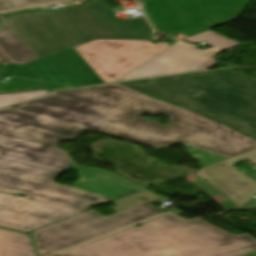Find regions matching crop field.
Masks as SVG:
<instances>
[{"instance_id":"8a807250","label":"crop field","mask_w":256,"mask_h":256,"mask_svg":"<svg viewBox=\"0 0 256 256\" xmlns=\"http://www.w3.org/2000/svg\"><path fill=\"white\" fill-rule=\"evenodd\" d=\"M172 117L168 125L141 114ZM91 130L158 148L180 142L199 167L256 148V141L199 113L119 84L57 92L0 110V226L29 232L148 186L111 171L75 164L57 143ZM75 183L54 180L65 170ZM106 197H110L109 200Z\"/></svg>"},{"instance_id":"ac0d7876","label":"crop field","mask_w":256,"mask_h":256,"mask_svg":"<svg viewBox=\"0 0 256 256\" xmlns=\"http://www.w3.org/2000/svg\"><path fill=\"white\" fill-rule=\"evenodd\" d=\"M59 256H256V240L166 214Z\"/></svg>"},{"instance_id":"34b2d1b8","label":"crop field","mask_w":256,"mask_h":256,"mask_svg":"<svg viewBox=\"0 0 256 256\" xmlns=\"http://www.w3.org/2000/svg\"><path fill=\"white\" fill-rule=\"evenodd\" d=\"M102 1L59 11L19 13L3 19L37 57L94 39L154 40L144 17L119 20Z\"/></svg>"},{"instance_id":"412701ff","label":"crop field","mask_w":256,"mask_h":256,"mask_svg":"<svg viewBox=\"0 0 256 256\" xmlns=\"http://www.w3.org/2000/svg\"><path fill=\"white\" fill-rule=\"evenodd\" d=\"M121 84L202 112L256 138V130L249 127L256 126V80L230 69Z\"/></svg>"},{"instance_id":"f4fd0767","label":"crop field","mask_w":256,"mask_h":256,"mask_svg":"<svg viewBox=\"0 0 256 256\" xmlns=\"http://www.w3.org/2000/svg\"><path fill=\"white\" fill-rule=\"evenodd\" d=\"M141 196L148 201L140 200ZM161 199L163 198L145 189L113 201L118 206L112 209L118 213L111 216L105 217L90 210L31 234L39 255L50 256L165 213L149 205ZM80 241L83 243L79 244Z\"/></svg>"},{"instance_id":"dd49c442","label":"crop field","mask_w":256,"mask_h":256,"mask_svg":"<svg viewBox=\"0 0 256 256\" xmlns=\"http://www.w3.org/2000/svg\"><path fill=\"white\" fill-rule=\"evenodd\" d=\"M153 29L183 39L237 20L242 0H135Z\"/></svg>"},{"instance_id":"e52e79f7","label":"crop field","mask_w":256,"mask_h":256,"mask_svg":"<svg viewBox=\"0 0 256 256\" xmlns=\"http://www.w3.org/2000/svg\"><path fill=\"white\" fill-rule=\"evenodd\" d=\"M183 41L189 43H199L201 41H205L207 42L208 46L212 48L202 51L194 48V45L177 41L118 81L188 71L206 70L216 63L213 59L216 55L241 45L236 41L221 36L210 30L184 39Z\"/></svg>"},{"instance_id":"d8731c3e","label":"crop field","mask_w":256,"mask_h":256,"mask_svg":"<svg viewBox=\"0 0 256 256\" xmlns=\"http://www.w3.org/2000/svg\"><path fill=\"white\" fill-rule=\"evenodd\" d=\"M169 45L149 41L94 40L74 47L104 83L115 82Z\"/></svg>"},{"instance_id":"5a996713","label":"crop field","mask_w":256,"mask_h":256,"mask_svg":"<svg viewBox=\"0 0 256 256\" xmlns=\"http://www.w3.org/2000/svg\"><path fill=\"white\" fill-rule=\"evenodd\" d=\"M0 76H18L71 87L103 83L73 48L23 65L0 63Z\"/></svg>"},{"instance_id":"3316defc","label":"crop field","mask_w":256,"mask_h":256,"mask_svg":"<svg viewBox=\"0 0 256 256\" xmlns=\"http://www.w3.org/2000/svg\"><path fill=\"white\" fill-rule=\"evenodd\" d=\"M246 159L256 164V150L200 170L195 174L192 183L209 198L221 195L227 197L218 205L230 210L256 193V185L231 166ZM250 179L256 182V176ZM249 207H256V199L251 198L238 209Z\"/></svg>"},{"instance_id":"28ad6ade","label":"crop field","mask_w":256,"mask_h":256,"mask_svg":"<svg viewBox=\"0 0 256 256\" xmlns=\"http://www.w3.org/2000/svg\"><path fill=\"white\" fill-rule=\"evenodd\" d=\"M5 27L0 28V62L23 64L37 57L1 18Z\"/></svg>"},{"instance_id":"d1516ede","label":"crop field","mask_w":256,"mask_h":256,"mask_svg":"<svg viewBox=\"0 0 256 256\" xmlns=\"http://www.w3.org/2000/svg\"><path fill=\"white\" fill-rule=\"evenodd\" d=\"M0 256H37L28 235L0 229Z\"/></svg>"},{"instance_id":"22f410ed","label":"crop field","mask_w":256,"mask_h":256,"mask_svg":"<svg viewBox=\"0 0 256 256\" xmlns=\"http://www.w3.org/2000/svg\"><path fill=\"white\" fill-rule=\"evenodd\" d=\"M70 0H0V11L51 4Z\"/></svg>"},{"instance_id":"cbeb9de0","label":"crop field","mask_w":256,"mask_h":256,"mask_svg":"<svg viewBox=\"0 0 256 256\" xmlns=\"http://www.w3.org/2000/svg\"><path fill=\"white\" fill-rule=\"evenodd\" d=\"M48 93L49 91L42 90V91H34V92H22V93L0 95V108L11 105V104H15L18 102H22L25 100H29L35 97H39L42 95H46Z\"/></svg>"},{"instance_id":"5142ce71","label":"crop field","mask_w":256,"mask_h":256,"mask_svg":"<svg viewBox=\"0 0 256 256\" xmlns=\"http://www.w3.org/2000/svg\"><path fill=\"white\" fill-rule=\"evenodd\" d=\"M244 2H248V0H243Z\"/></svg>"}]
</instances>
